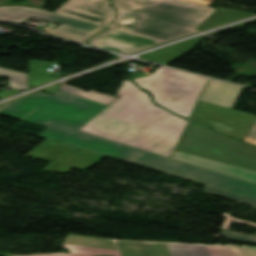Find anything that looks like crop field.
<instances>
[{
	"label": "crop field",
	"instance_id": "1",
	"mask_svg": "<svg viewBox=\"0 0 256 256\" xmlns=\"http://www.w3.org/2000/svg\"><path fill=\"white\" fill-rule=\"evenodd\" d=\"M105 108L57 91L22 120L48 127L49 139L256 199V184L77 131Z\"/></svg>",
	"mask_w": 256,
	"mask_h": 256
},
{
	"label": "crop field",
	"instance_id": "2",
	"mask_svg": "<svg viewBox=\"0 0 256 256\" xmlns=\"http://www.w3.org/2000/svg\"><path fill=\"white\" fill-rule=\"evenodd\" d=\"M115 96L120 98L79 131L169 158L187 121L155 106L129 81Z\"/></svg>",
	"mask_w": 256,
	"mask_h": 256
},
{
	"label": "crop field",
	"instance_id": "3",
	"mask_svg": "<svg viewBox=\"0 0 256 256\" xmlns=\"http://www.w3.org/2000/svg\"><path fill=\"white\" fill-rule=\"evenodd\" d=\"M118 17L109 26L116 30L163 42L197 33L216 9L181 0H114Z\"/></svg>",
	"mask_w": 256,
	"mask_h": 256
},
{
	"label": "crop field",
	"instance_id": "4",
	"mask_svg": "<svg viewBox=\"0 0 256 256\" xmlns=\"http://www.w3.org/2000/svg\"><path fill=\"white\" fill-rule=\"evenodd\" d=\"M207 78L160 67L152 76L135 79L148 90L160 106L185 118L189 117Z\"/></svg>",
	"mask_w": 256,
	"mask_h": 256
},
{
	"label": "crop field",
	"instance_id": "5",
	"mask_svg": "<svg viewBox=\"0 0 256 256\" xmlns=\"http://www.w3.org/2000/svg\"><path fill=\"white\" fill-rule=\"evenodd\" d=\"M177 151L256 171V148L189 122Z\"/></svg>",
	"mask_w": 256,
	"mask_h": 256
},
{
	"label": "crop field",
	"instance_id": "6",
	"mask_svg": "<svg viewBox=\"0 0 256 256\" xmlns=\"http://www.w3.org/2000/svg\"><path fill=\"white\" fill-rule=\"evenodd\" d=\"M119 251L92 248L70 247L71 254L54 253L27 256H239L234 247L205 246L189 244H161L117 241ZM0 256H14L1 254Z\"/></svg>",
	"mask_w": 256,
	"mask_h": 256
},
{
	"label": "crop field",
	"instance_id": "7",
	"mask_svg": "<svg viewBox=\"0 0 256 256\" xmlns=\"http://www.w3.org/2000/svg\"><path fill=\"white\" fill-rule=\"evenodd\" d=\"M29 17L61 24L62 26L55 28L54 31L46 28H44L42 31L59 38L79 43L84 42L90 36L104 28L102 26L47 11L19 6L0 7V20L23 23L28 20Z\"/></svg>",
	"mask_w": 256,
	"mask_h": 256
},
{
	"label": "crop field",
	"instance_id": "8",
	"mask_svg": "<svg viewBox=\"0 0 256 256\" xmlns=\"http://www.w3.org/2000/svg\"><path fill=\"white\" fill-rule=\"evenodd\" d=\"M26 156L50 162L43 170L66 174L72 168L87 170L104 156L79 150L73 147L44 141Z\"/></svg>",
	"mask_w": 256,
	"mask_h": 256
},
{
	"label": "crop field",
	"instance_id": "9",
	"mask_svg": "<svg viewBox=\"0 0 256 256\" xmlns=\"http://www.w3.org/2000/svg\"><path fill=\"white\" fill-rule=\"evenodd\" d=\"M191 119L243 141L256 120V115L199 101Z\"/></svg>",
	"mask_w": 256,
	"mask_h": 256
},
{
	"label": "crop field",
	"instance_id": "10",
	"mask_svg": "<svg viewBox=\"0 0 256 256\" xmlns=\"http://www.w3.org/2000/svg\"><path fill=\"white\" fill-rule=\"evenodd\" d=\"M107 0H68L55 13L106 26L114 14Z\"/></svg>",
	"mask_w": 256,
	"mask_h": 256
},
{
	"label": "crop field",
	"instance_id": "11",
	"mask_svg": "<svg viewBox=\"0 0 256 256\" xmlns=\"http://www.w3.org/2000/svg\"><path fill=\"white\" fill-rule=\"evenodd\" d=\"M161 43L163 42L134 36L109 28L89 41V45L125 53H133Z\"/></svg>",
	"mask_w": 256,
	"mask_h": 256
},
{
	"label": "crop field",
	"instance_id": "12",
	"mask_svg": "<svg viewBox=\"0 0 256 256\" xmlns=\"http://www.w3.org/2000/svg\"><path fill=\"white\" fill-rule=\"evenodd\" d=\"M172 159L180 160L186 163H190L196 166H200L206 169H210L216 172H220L226 175H230L236 178H240L246 181L256 183V172L229 164L181 153L175 151Z\"/></svg>",
	"mask_w": 256,
	"mask_h": 256
},
{
	"label": "crop field",
	"instance_id": "13",
	"mask_svg": "<svg viewBox=\"0 0 256 256\" xmlns=\"http://www.w3.org/2000/svg\"><path fill=\"white\" fill-rule=\"evenodd\" d=\"M242 87L210 79L201 101L232 109Z\"/></svg>",
	"mask_w": 256,
	"mask_h": 256
},
{
	"label": "crop field",
	"instance_id": "14",
	"mask_svg": "<svg viewBox=\"0 0 256 256\" xmlns=\"http://www.w3.org/2000/svg\"><path fill=\"white\" fill-rule=\"evenodd\" d=\"M205 191L207 193L215 194V195L223 197V198H227V199L238 201V202H241V203H244V204H248V205H251L254 208H256V201H253V200H250V199H247V198H243V197H240V196H237V195H233V194H230V193H226V192H223V191H220V190H216V189H213V188H209L207 186H205ZM222 215L226 218V220L224 222L222 230L220 231V235H222L223 237H225L227 239H230V240H236V241H242V242H248V243L256 244V234L250 236V235L239 234V233H234V232L227 231L228 227L231 223V220L241 222V223H245V224H249V225H253V226H256V224H252V223H248V222H245V221L235 219V218L231 217L230 215H228L226 213H223Z\"/></svg>",
	"mask_w": 256,
	"mask_h": 256
},
{
	"label": "crop field",
	"instance_id": "15",
	"mask_svg": "<svg viewBox=\"0 0 256 256\" xmlns=\"http://www.w3.org/2000/svg\"><path fill=\"white\" fill-rule=\"evenodd\" d=\"M49 96L46 93L38 91L13 103L2 106L0 108V114L20 120Z\"/></svg>",
	"mask_w": 256,
	"mask_h": 256
},
{
	"label": "crop field",
	"instance_id": "16",
	"mask_svg": "<svg viewBox=\"0 0 256 256\" xmlns=\"http://www.w3.org/2000/svg\"><path fill=\"white\" fill-rule=\"evenodd\" d=\"M204 37L205 36H202L151 54L143 55L140 58L166 65L171 61L177 59L178 57L182 56L183 54L192 50Z\"/></svg>",
	"mask_w": 256,
	"mask_h": 256
},
{
	"label": "crop field",
	"instance_id": "17",
	"mask_svg": "<svg viewBox=\"0 0 256 256\" xmlns=\"http://www.w3.org/2000/svg\"><path fill=\"white\" fill-rule=\"evenodd\" d=\"M254 13L239 11L234 9H225L219 7L208 19H206L196 30H207L242 17L251 15Z\"/></svg>",
	"mask_w": 256,
	"mask_h": 256
},
{
	"label": "crop field",
	"instance_id": "18",
	"mask_svg": "<svg viewBox=\"0 0 256 256\" xmlns=\"http://www.w3.org/2000/svg\"><path fill=\"white\" fill-rule=\"evenodd\" d=\"M59 90L66 91L75 95H79L88 99H92L101 103H105L110 105L113 103L116 99H118L115 96L108 95V94H103V93H98V92H81L78 88H74L68 85L62 84L59 88Z\"/></svg>",
	"mask_w": 256,
	"mask_h": 256
},
{
	"label": "crop field",
	"instance_id": "19",
	"mask_svg": "<svg viewBox=\"0 0 256 256\" xmlns=\"http://www.w3.org/2000/svg\"><path fill=\"white\" fill-rule=\"evenodd\" d=\"M0 75L10 78L12 88L24 91L28 89V75L0 68Z\"/></svg>",
	"mask_w": 256,
	"mask_h": 256
},
{
	"label": "crop field",
	"instance_id": "20",
	"mask_svg": "<svg viewBox=\"0 0 256 256\" xmlns=\"http://www.w3.org/2000/svg\"><path fill=\"white\" fill-rule=\"evenodd\" d=\"M244 142L256 144V122L254 123L251 130L247 134L246 138L244 139Z\"/></svg>",
	"mask_w": 256,
	"mask_h": 256
},
{
	"label": "crop field",
	"instance_id": "21",
	"mask_svg": "<svg viewBox=\"0 0 256 256\" xmlns=\"http://www.w3.org/2000/svg\"><path fill=\"white\" fill-rule=\"evenodd\" d=\"M18 92H20V91H16V90H13V89H11L10 91H7V92L0 91V99H2L4 97H7V96H10L12 94L18 93Z\"/></svg>",
	"mask_w": 256,
	"mask_h": 256
},
{
	"label": "crop field",
	"instance_id": "22",
	"mask_svg": "<svg viewBox=\"0 0 256 256\" xmlns=\"http://www.w3.org/2000/svg\"><path fill=\"white\" fill-rule=\"evenodd\" d=\"M185 1L194 2V3L206 5V6H209L212 3V0H185Z\"/></svg>",
	"mask_w": 256,
	"mask_h": 256
},
{
	"label": "crop field",
	"instance_id": "23",
	"mask_svg": "<svg viewBox=\"0 0 256 256\" xmlns=\"http://www.w3.org/2000/svg\"><path fill=\"white\" fill-rule=\"evenodd\" d=\"M0 106H2V105H0Z\"/></svg>",
	"mask_w": 256,
	"mask_h": 256
}]
</instances>
